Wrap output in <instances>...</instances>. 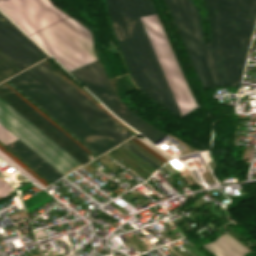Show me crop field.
<instances>
[{"label": "crop field", "mask_w": 256, "mask_h": 256, "mask_svg": "<svg viewBox=\"0 0 256 256\" xmlns=\"http://www.w3.org/2000/svg\"><path fill=\"white\" fill-rule=\"evenodd\" d=\"M0 9L67 70L97 59L91 32L50 0H0ZM69 72L118 117L154 144L168 135L122 103L98 60Z\"/></svg>", "instance_id": "8a807250"}, {"label": "crop field", "mask_w": 256, "mask_h": 256, "mask_svg": "<svg viewBox=\"0 0 256 256\" xmlns=\"http://www.w3.org/2000/svg\"><path fill=\"white\" fill-rule=\"evenodd\" d=\"M164 2L202 87L239 85L256 22V0H203L211 30L206 45L200 15L193 2Z\"/></svg>", "instance_id": "ac0d7876"}, {"label": "crop field", "mask_w": 256, "mask_h": 256, "mask_svg": "<svg viewBox=\"0 0 256 256\" xmlns=\"http://www.w3.org/2000/svg\"><path fill=\"white\" fill-rule=\"evenodd\" d=\"M106 6L114 38L136 84L158 104L179 116L198 107L162 25L153 13L156 11L151 0H106ZM137 15H141L138 17L183 114Z\"/></svg>", "instance_id": "34b2d1b8"}, {"label": "crop field", "mask_w": 256, "mask_h": 256, "mask_svg": "<svg viewBox=\"0 0 256 256\" xmlns=\"http://www.w3.org/2000/svg\"><path fill=\"white\" fill-rule=\"evenodd\" d=\"M8 81L99 155L117 146L26 70Z\"/></svg>", "instance_id": "412701ff"}, {"label": "crop field", "mask_w": 256, "mask_h": 256, "mask_svg": "<svg viewBox=\"0 0 256 256\" xmlns=\"http://www.w3.org/2000/svg\"><path fill=\"white\" fill-rule=\"evenodd\" d=\"M26 70L117 145L133 136L43 61Z\"/></svg>", "instance_id": "f4fd0767"}, {"label": "crop field", "mask_w": 256, "mask_h": 256, "mask_svg": "<svg viewBox=\"0 0 256 256\" xmlns=\"http://www.w3.org/2000/svg\"><path fill=\"white\" fill-rule=\"evenodd\" d=\"M0 123L62 174L80 164L1 99Z\"/></svg>", "instance_id": "dd49c442"}, {"label": "crop field", "mask_w": 256, "mask_h": 256, "mask_svg": "<svg viewBox=\"0 0 256 256\" xmlns=\"http://www.w3.org/2000/svg\"><path fill=\"white\" fill-rule=\"evenodd\" d=\"M0 50L22 70L48 57L0 12Z\"/></svg>", "instance_id": "e52e79f7"}, {"label": "crop field", "mask_w": 256, "mask_h": 256, "mask_svg": "<svg viewBox=\"0 0 256 256\" xmlns=\"http://www.w3.org/2000/svg\"><path fill=\"white\" fill-rule=\"evenodd\" d=\"M0 97L9 105L16 109L20 114L27 118L31 123L43 131L47 136L54 140L58 145L65 149L69 154L76 158L83 165L86 164L87 159L80 149L73 145L69 140L62 136L58 131L51 127L47 122L40 118L36 113L29 109L25 104L18 100L14 95L7 91L0 85Z\"/></svg>", "instance_id": "d8731c3e"}, {"label": "crop field", "mask_w": 256, "mask_h": 256, "mask_svg": "<svg viewBox=\"0 0 256 256\" xmlns=\"http://www.w3.org/2000/svg\"><path fill=\"white\" fill-rule=\"evenodd\" d=\"M14 138L16 137L0 125V142L4 144ZM4 145L12 150L16 155H18L51 183L63 177V175L56 171L52 166H50L17 138Z\"/></svg>", "instance_id": "5a996713"}, {"label": "crop field", "mask_w": 256, "mask_h": 256, "mask_svg": "<svg viewBox=\"0 0 256 256\" xmlns=\"http://www.w3.org/2000/svg\"><path fill=\"white\" fill-rule=\"evenodd\" d=\"M203 246L213 252L216 256H242L249 252L227 233L218 237L215 242Z\"/></svg>", "instance_id": "3316defc"}, {"label": "crop field", "mask_w": 256, "mask_h": 256, "mask_svg": "<svg viewBox=\"0 0 256 256\" xmlns=\"http://www.w3.org/2000/svg\"><path fill=\"white\" fill-rule=\"evenodd\" d=\"M20 71L22 70L0 51V82Z\"/></svg>", "instance_id": "28ad6ade"}, {"label": "crop field", "mask_w": 256, "mask_h": 256, "mask_svg": "<svg viewBox=\"0 0 256 256\" xmlns=\"http://www.w3.org/2000/svg\"><path fill=\"white\" fill-rule=\"evenodd\" d=\"M0 149L3 152H5L9 157H11L14 161H16L20 166H22L25 170H27L31 175H33L36 179H38L42 184H44L45 186L49 185L46 181H44L40 176H38L34 171H32L28 166H26L22 161H20L16 156H14L1 144H0Z\"/></svg>", "instance_id": "d1516ede"}, {"label": "crop field", "mask_w": 256, "mask_h": 256, "mask_svg": "<svg viewBox=\"0 0 256 256\" xmlns=\"http://www.w3.org/2000/svg\"><path fill=\"white\" fill-rule=\"evenodd\" d=\"M7 90H9L12 94H14L18 99H20L23 103H25L29 108H31L34 112H36L40 117H42L45 121H47L51 126H53L56 130H58L62 135H64L67 139H69L73 144H75L78 148H80L84 153L89 155L84 149H82L78 144H76L73 140H71L68 136H66L62 131H60L57 127H55L52 123H50L46 118H44L40 113H38L35 109H33L29 104H27L23 99H21L18 95H16L12 90H10L6 85L1 83Z\"/></svg>", "instance_id": "22f410ed"}, {"label": "crop field", "mask_w": 256, "mask_h": 256, "mask_svg": "<svg viewBox=\"0 0 256 256\" xmlns=\"http://www.w3.org/2000/svg\"><path fill=\"white\" fill-rule=\"evenodd\" d=\"M122 145H124L126 148H128L130 151H132L134 154H136L138 157H140L142 160H144L146 163H148L154 169L157 170L160 167L156 163H154L152 160H150L148 157H146L141 152H139L137 149H135L133 146H131L129 143L126 142Z\"/></svg>", "instance_id": "cbeb9de0"}, {"label": "crop field", "mask_w": 256, "mask_h": 256, "mask_svg": "<svg viewBox=\"0 0 256 256\" xmlns=\"http://www.w3.org/2000/svg\"><path fill=\"white\" fill-rule=\"evenodd\" d=\"M6 84L5 82H3ZM10 89H12L15 93H17L21 98H23L26 102H28L32 107H34L37 111H39L43 116H45L48 120H50L54 125H56L59 129H61L65 134H67L70 138H72L76 143H78L81 147H83L90 154L92 153L86 147H84L81 143H79L75 138H73L70 134H68L65 130H63L60 126H58L55 122H53L50 118H48L44 113H42L39 109H37L34 105H32L29 101H27L24 97H22L18 92H16L13 88H11L8 84H6Z\"/></svg>", "instance_id": "5142ce71"}, {"label": "crop field", "mask_w": 256, "mask_h": 256, "mask_svg": "<svg viewBox=\"0 0 256 256\" xmlns=\"http://www.w3.org/2000/svg\"><path fill=\"white\" fill-rule=\"evenodd\" d=\"M131 140H133L135 143H137L139 146H141L142 148H144L146 151H148L150 154H152L153 156H155L157 159H159L161 162H166L167 160H165L163 157H161L159 154H157L156 152H154L152 149H150L148 146H146L145 144H143L141 141H139L137 138H132Z\"/></svg>", "instance_id": "d9b57169"}, {"label": "crop field", "mask_w": 256, "mask_h": 256, "mask_svg": "<svg viewBox=\"0 0 256 256\" xmlns=\"http://www.w3.org/2000/svg\"><path fill=\"white\" fill-rule=\"evenodd\" d=\"M136 137V136H135ZM139 140H141L143 143H145L146 145H148L150 148H152L154 151H156L157 153H159L161 156H163L165 159H170L167 154H165L164 152H162L161 150H159L158 148H156L155 146H153L152 144H150L148 141H146L143 138H138Z\"/></svg>", "instance_id": "733c2abd"}]
</instances>
